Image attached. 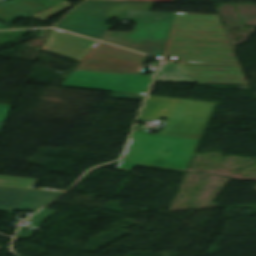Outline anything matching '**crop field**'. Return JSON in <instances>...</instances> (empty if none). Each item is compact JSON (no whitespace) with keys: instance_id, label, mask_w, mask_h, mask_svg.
Wrapping results in <instances>:
<instances>
[{"instance_id":"obj_7","label":"crop field","mask_w":256,"mask_h":256,"mask_svg":"<svg viewBox=\"0 0 256 256\" xmlns=\"http://www.w3.org/2000/svg\"><path fill=\"white\" fill-rule=\"evenodd\" d=\"M96 43L53 29L43 49L82 61Z\"/></svg>"},{"instance_id":"obj_5","label":"crop field","mask_w":256,"mask_h":256,"mask_svg":"<svg viewBox=\"0 0 256 256\" xmlns=\"http://www.w3.org/2000/svg\"><path fill=\"white\" fill-rule=\"evenodd\" d=\"M153 77H129L73 71L61 86L145 95Z\"/></svg>"},{"instance_id":"obj_2","label":"crop field","mask_w":256,"mask_h":256,"mask_svg":"<svg viewBox=\"0 0 256 256\" xmlns=\"http://www.w3.org/2000/svg\"><path fill=\"white\" fill-rule=\"evenodd\" d=\"M163 54L197 83L247 84L230 44L167 41Z\"/></svg>"},{"instance_id":"obj_3","label":"crop field","mask_w":256,"mask_h":256,"mask_svg":"<svg viewBox=\"0 0 256 256\" xmlns=\"http://www.w3.org/2000/svg\"><path fill=\"white\" fill-rule=\"evenodd\" d=\"M153 3L85 1L56 27L100 40L111 27L110 18H119L126 9L149 11Z\"/></svg>"},{"instance_id":"obj_10","label":"crop field","mask_w":256,"mask_h":256,"mask_svg":"<svg viewBox=\"0 0 256 256\" xmlns=\"http://www.w3.org/2000/svg\"><path fill=\"white\" fill-rule=\"evenodd\" d=\"M70 5L71 4H68V3L64 2L60 6H58L57 8L52 9V10L47 11V12H44L42 14H39L36 17H38L39 19H41L43 21V20L47 19L48 17H50V16H52V15H54V14H56V13H58V12L64 10V9L68 8Z\"/></svg>"},{"instance_id":"obj_9","label":"crop field","mask_w":256,"mask_h":256,"mask_svg":"<svg viewBox=\"0 0 256 256\" xmlns=\"http://www.w3.org/2000/svg\"><path fill=\"white\" fill-rule=\"evenodd\" d=\"M57 213V211L44 209L41 212L37 213L33 217L29 218L27 222H33V223H41L45 221L46 218L50 217L51 215Z\"/></svg>"},{"instance_id":"obj_6","label":"crop field","mask_w":256,"mask_h":256,"mask_svg":"<svg viewBox=\"0 0 256 256\" xmlns=\"http://www.w3.org/2000/svg\"><path fill=\"white\" fill-rule=\"evenodd\" d=\"M61 193L0 187V210L36 211Z\"/></svg>"},{"instance_id":"obj_8","label":"crop field","mask_w":256,"mask_h":256,"mask_svg":"<svg viewBox=\"0 0 256 256\" xmlns=\"http://www.w3.org/2000/svg\"><path fill=\"white\" fill-rule=\"evenodd\" d=\"M60 0H12L0 5V20L11 24L15 17L27 18L32 13L54 6Z\"/></svg>"},{"instance_id":"obj_11","label":"crop field","mask_w":256,"mask_h":256,"mask_svg":"<svg viewBox=\"0 0 256 256\" xmlns=\"http://www.w3.org/2000/svg\"><path fill=\"white\" fill-rule=\"evenodd\" d=\"M24 229H25V228H24V227H22V229H21V230H19V232H18V234H17V236H16V237H18V238L23 237V238L30 239V237H31V235H32V233H33V231H30V230H24Z\"/></svg>"},{"instance_id":"obj_4","label":"crop field","mask_w":256,"mask_h":256,"mask_svg":"<svg viewBox=\"0 0 256 256\" xmlns=\"http://www.w3.org/2000/svg\"><path fill=\"white\" fill-rule=\"evenodd\" d=\"M167 40L229 43L217 15L175 13Z\"/></svg>"},{"instance_id":"obj_1","label":"crop field","mask_w":256,"mask_h":256,"mask_svg":"<svg viewBox=\"0 0 256 256\" xmlns=\"http://www.w3.org/2000/svg\"><path fill=\"white\" fill-rule=\"evenodd\" d=\"M215 105L149 96L139 118L169 119L159 135L134 132L117 169L140 164L185 171Z\"/></svg>"}]
</instances>
